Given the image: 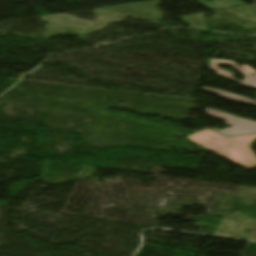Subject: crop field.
Instances as JSON below:
<instances>
[{
	"instance_id": "1",
	"label": "crop field",
	"mask_w": 256,
	"mask_h": 256,
	"mask_svg": "<svg viewBox=\"0 0 256 256\" xmlns=\"http://www.w3.org/2000/svg\"><path fill=\"white\" fill-rule=\"evenodd\" d=\"M256 134L226 137L210 129L187 136V139L201 147L229 159L250 170L256 168V156L250 150V143Z\"/></svg>"
},
{
	"instance_id": "2",
	"label": "crop field",
	"mask_w": 256,
	"mask_h": 256,
	"mask_svg": "<svg viewBox=\"0 0 256 256\" xmlns=\"http://www.w3.org/2000/svg\"><path fill=\"white\" fill-rule=\"evenodd\" d=\"M205 111L208 116L212 118L227 121L226 124L230 125L232 128L223 131L213 128L214 130L219 131L225 135L256 132V122L254 121L237 118L224 112L213 110L210 108L205 109Z\"/></svg>"
},
{
	"instance_id": "3",
	"label": "crop field",
	"mask_w": 256,
	"mask_h": 256,
	"mask_svg": "<svg viewBox=\"0 0 256 256\" xmlns=\"http://www.w3.org/2000/svg\"><path fill=\"white\" fill-rule=\"evenodd\" d=\"M210 62H211L210 69L216 71L219 76L225 77L241 86H247V87L256 89V72L253 69H251L250 67L240 66L233 61L211 59ZM219 64H225V65L232 66L235 70L240 72L245 77V80L243 82H240V81L232 79L234 74L217 68Z\"/></svg>"
},
{
	"instance_id": "4",
	"label": "crop field",
	"mask_w": 256,
	"mask_h": 256,
	"mask_svg": "<svg viewBox=\"0 0 256 256\" xmlns=\"http://www.w3.org/2000/svg\"><path fill=\"white\" fill-rule=\"evenodd\" d=\"M201 88L206 92L216 94L219 97L224 98L226 100L235 101V102H239V103H243V104L256 105V102H254L253 100H251L249 98H246V97L234 95V94L227 93V92L220 91V90H216V89H209V88H205V87H201Z\"/></svg>"
},
{
	"instance_id": "5",
	"label": "crop field",
	"mask_w": 256,
	"mask_h": 256,
	"mask_svg": "<svg viewBox=\"0 0 256 256\" xmlns=\"http://www.w3.org/2000/svg\"><path fill=\"white\" fill-rule=\"evenodd\" d=\"M199 1L202 4H204L208 9L226 8V7L243 5V3L240 2L241 0H222V1L213 0L214 2H211V3H207L204 0H199Z\"/></svg>"
}]
</instances>
